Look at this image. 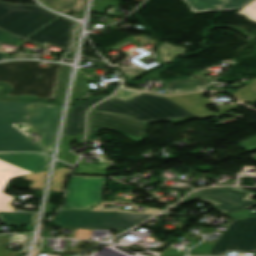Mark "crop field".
<instances>
[{"instance_id":"obj_1","label":"crop field","mask_w":256,"mask_h":256,"mask_svg":"<svg viewBox=\"0 0 256 256\" xmlns=\"http://www.w3.org/2000/svg\"><path fill=\"white\" fill-rule=\"evenodd\" d=\"M31 108L34 111L30 114ZM59 111L60 106L50 104L0 100V151H42L27 133L16 127V124H27L32 132L41 131L43 147L50 153Z\"/></svg>"},{"instance_id":"obj_2","label":"crop field","mask_w":256,"mask_h":256,"mask_svg":"<svg viewBox=\"0 0 256 256\" xmlns=\"http://www.w3.org/2000/svg\"><path fill=\"white\" fill-rule=\"evenodd\" d=\"M39 61L0 63V82L10 84L6 96L32 95L52 100L61 64L51 63L47 68L37 66ZM39 75H42L40 78Z\"/></svg>"},{"instance_id":"obj_3","label":"crop field","mask_w":256,"mask_h":256,"mask_svg":"<svg viewBox=\"0 0 256 256\" xmlns=\"http://www.w3.org/2000/svg\"><path fill=\"white\" fill-rule=\"evenodd\" d=\"M92 109L132 115L143 122L169 120L175 124L196 118L195 115L166 97L145 93L127 102L112 97Z\"/></svg>"},{"instance_id":"obj_4","label":"crop field","mask_w":256,"mask_h":256,"mask_svg":"<svg viewBox=\"0 0 256 256\" xmlns=\"http://www.w3.org/2000/svg\"><path fill=\"white\" fill-rule=\"evenodd\" d=\"M58 16L38 5L10 4L0 1V29L23 40Z\"/></svg>"},{"instance_id":"obj_5","label":"crop field","mask_w":256,"mask_h":256,"mask_svg":"<svg viewBox=\"0 0 256 256\" xmlns=\"http://www.w3.org/2000/svg\"><path fill=\"white\" fill-rule=\"evenodd\" d=\"M153 215L61 210L50 222L57 226L126 230Z\"/></svg>"},{"instance_id":"obj_6","label":"crop field","mask_w":256,"mask_h":256,"mask_svg":"<svg viewBox=\"0 0 256 256\" xmlns=\"http://www.w3.org/2000/svg\"><path fill=\"white\" fill-rule=\"evenodd\" d=\"M88 118L89 141H94L98 130L103 128L122 134L138 144L146 138V125L131 116L90 110Z\"/></svg>"},{"instance_id":"obj_7","label":"crop field","mask_w":256,"mask_h":256,"mask_svg":"<svg viewBox=\"0 0 256 256\" xmlns=\"http://www.w3.org/2000/svg\"><path fill=\"white\" fill-rule=\"evenodd\" d=\"M228 251L255 252L256 256V216L232 222L208 255L226 256Z\"/></svg>"},{"instance_id":"obj_8","label":"crop field","mask_w":256,"mask_h":256,"mask_svg":"<svg viewBox=\"0 0 256 256\" xmlns=\"http://www.w3.org/2000/svg\"><path fill=\"white\" fill-rule=\"evenodd\" d=\"M255 195V193L238 188H212L195 192L190 197L208 203L212 202L215 209L224 214H234L255 206L256 202L250 199Z\"/></svg>"},{"instance_id":"obj_9","label":"crop field","mask_w":256,"mask_h":256,"mask_svg":"<svg viewBox=\"0 0 256 256\" xmlns=\"http://www.w3.org/2000/svg\"><path fill=\"white\" fill-rule=\"evenodd\" d=\"M105 178L72 176L63 208L88 209L102 201Z\"/></svg>"},{"instance_id":"obj_10","label":"crop field","mask_w":256,"mask_h":256,"mask_svg":"<svg viewBox=\"0 0 256 256\" xmlns=\"http://www.w3.org/2000/svg\"><path fill=\"white\" fill-rule=\"evenodd\" d=\"M74 24L75 22L60 16L27 40L43 45L49 43L68 50Z\"/></svg>"},{"instance_id":"obj_11","label":"crop field","mask_w":256,"mask_h":256,"mask_svg":"<svg viewBox=\"0 0 256 256\" xmlns=\"http://www.w3.org/2000/svg\"><path fill=\"white\" fill-rule=\"evenodd\" d=\"M200 95L201 93L181 94L175 96H168V98L173 100L180 106L184 107L188 111L192 112L197 117H210L224 113L229 110H238V104L221 105L218 106L219 112L217 114H213L204 108L205 104H212L209 98H202L200 97Z\"/></svg>"},{"instance_id":"obj_12","label":"crop field","mask_w":256,"mask_h":256,"mask_svg":"<svg viewBox=\"0 0 256 256\" xmlns=\"http://www.w3.org/2000/svg\"><path fill=\"white\" fill-rule=\"evenodd\" d=\"M0 159L32 173L47 170L49 157L37 153H0Z\"/></svg>"},{"instance_id":"obj_13","label":"crop field","mask_w":256,"mask_h":256,"mask_svg":"<svg viewBox=\"0 0 256 256\" xmlns=\"http://www.w3.org/2000/svg\"><path fill=\"white\" fill-rule=\"evenodd\" d=\"M193 12L242 9L253 0H184Z\"/></svg>"},{"instance_id":"obj_14","label":"crop field","mask_w":256,"mask_h":256,"mask_svg":"<svg viewBox=\"0 0 256 256\" xmlns=\"http://www.w3.org/2000/svg\"><path fill=\"white\" fill-rule=\"evenodd\" d=\"M102 99L104 98L98 97L89 100L76 108L70 109L64 135L78 136L80 132L84 130V115L86 109Z\"/></svg>"},{"instance_id":"obj_15","label":"crop field","mask_w":256,"mask_h":256,"mask_svg":"<svg viewBox=\"0 0 256 256\" xmlns=\"http://www.w3.org/2000/svg\"><path fill=\"white\" fill-rule=\"evenodd\" d=\"M25 174L31 173L0 161V210L14 211L10 206L12 197L2 193V191L9 178Z\"/></svg>"},{"instance_id":"obj_16","label":"crop field","mask_w":256,"mask_h":256,"mask_svg":"<svg viewBox=\"0 0 256 256\" xmlns=\"http://www.w3.org/2000/svg\"><path fill=\"white\" fill-rule=\"evenodd\" d=\"M211 81L199 74H193L183 80L166 82V94L182 93L203 89Z\"/></svg>"},{"instance_id":"obj_17","label":"crop field","mask_w":256,"mask_h":256,"mask_svg":"<svg viewBox=\"0 0 256 256\" xmlns=\"http://www.w3.org/2000/svg\"><path fill=\"white\" fill-rule=\"evenodd\" d=\"M44 5L59 12L80 11L84 8L85 0H40Z\"/></svg>"},{"instance_id":"obj_18","label":"crop field","mask_w":256,"mask_h":256,"mask_svg":"<svg viewBox=\"0 0 256 256\" xmlns=\"http://www.w3.org/2000/svg\"><path fill=\"white\" fill-rule=\"evenodd\" d=\"M36 213H5L0 212L4 224L33 226Z\"/></svg>"},{"instance_id":"obj_19","label":"crop field","mask_w":256,"mask_h":256,"mask_svg":"<svg viewBox=\"0 0 256 256\" xmlns=\"http://www.w3.org/2000/svg\"><path fill=\"white\" fill-rule=\"evenodd\" d=\"M75 138H78V140H75ZM74 140L77 141L78 144H82V137L64 136L63 142H62V147H61V152H60V156H59L60 159L66 161L70 164L75 163V161L78 157L69 151L71 144H68V142H72Z\"/></svg>"},{"instance_id":"obj_20","label":"crop field","mask_w":256,"mask_h":256,"mask_svg":"<svg viewBox=\"0 0 256 256\" xmlns=\"http://www.w3.org/2000/svg\"><path fill=\"white\" fill-rule=\"evenodd\" d=\"M69 71H70V68L68 66L61 67L53 100L62 102Z\"/></svg>"},{"instance_id":"obj_21","label":"crop field","mask_w":256,"mask_h":256,"mask_svg":"<svg viewBox=\"0 0 256 256\" xmlns=\"http://www.w3.org/2000/svg\"><path fill=\"white\" fill-rule=\"evenodd\" d=\"M158 50L160 52V57H161L162 61L168 63V62L172 61V59L175 56L182 53L185 49L164 43V44L158 46Z\"/></svg>"},{"instance_id":"obj_22","label":"crop field","mask_w":256,"mask_h":256,"mask_svg":"<svg viewBox=\"0 0 256 256\" xmlns=\"http://www.w3.org/2000/svg\"><path fill=\"white\" fill-rule=\"evenodd\" d=\"M88 77L89 76L87 74L83 73L82 71H79L72 99L91 90L88 85V82H89Z\"/></svg>"},{"instance_id":"obj_23","label":"crop field","mask_w":256,"mask_h":256,"mask_svg":"<svg viewBox=\"0 0 256 256\" xmlns=\"http://www.w3.org/2000/svg\"><path fill=\"white\" fill-rule=\"evenodd\" d=\"M71 168L58 169L55 172L51 190L63 191L66 176L69 174Z\"/></svg>"},{"instance_id":"obj_24","label":"crop field","mask_w":256,"mask_h":256,"mask_svg":"<svg viewBox=\"0 0 256 256\" xmlns=\"http://www.w3.org/2000/svg\"><path fill=\"white\" fill-rule=\"evenodd\" d=\"M236 95L242 102H251L256 99V81L237 92Z\"/></svg>"},{"instance_id":"obj_25","label":"crop field","mask_w":256,"mask_h":256,"mask_svg":"<svg viewBox=\"0 0 256 256\" xmlns=\"http://www.w3.org/2000/svg\"><path fill=\"white\" fill-rule=\"evenodd\" d=\"M120 4L121 2L117 0H95L92 11L103 14L106 7L111 6L117 8Z\"/></svg>"},{"instance_id":"obj_26","label":"crop field","mask_w":256,"mask_h":256,"mask_svg":"<svg viewBox=\"0 0 256 256\" xmlns=\"http://www.w3.org/2000/svg\"><path fill=\"white\" fill-rule=\"evenodd\" d=\"M237 14L256 22V0L239 11Z\"/></svg>"},{"instance_id":"obj_27","label":"crop field","mask_w":256,"mask_h":256,"mask_svg":"<svg viewBox=\"0 0 256 256\" xmlns=\"http://www.w3.org/2000/svg\"><path fill=\"white\" fill-rule=\"evenodd\" d=\"M46 172L47 171L41 172V173H36V174H31V175H28V176H26L24 178L28 179V180H32L33 178H36L35 180H32L34 182L29 187L41 190L42 186H43V182H44L45 176H46Z\"/></svg>"},{"instance_id":"obj_28","label":"crop field","mask_w":256,"mask_h":256,"mask_svg":"<svg viewBox=\"0 0 256 256\" xmlns=\"http://www.w3.org/2000/svg\"><path fill=\"white\" fill-rule=\"evenodd\" d=\"M108 202H104L103 204L91 209V210H98V211H114V212H131V213H136L135 211H127V210H117V209H105L104 206L107 205ZM162 210L160 209H157L155 207H153L152 209L151 208H148L146 207L145 208V211L144 213H147V214H156L158 212H160Z\"/></svg>"},{"instance_id":"obj_29","label":"crop field","mask_w":256,"mask_h":256,"mask_svg":"<svg viewBox=\"0 0 256 256\" xmlns=\"http://www.w3.org/2000/svg\"><path fill=\"white\" fill-rule=\"evenodd\" d=\"M0 43H9V44L16 45L19 42H18V38H15L0 30ZM6 56H8V54L0 53V59H3Z\"/></svg>"},{"instance_id":"obj_30","label":"crop field","mask_w":256,"mask_h":256,"mask_svg":"<svg viewBox=\"0 0 256 256\" xmlns=\"http://www.w3.org/2000/svg\"><path fill=\"white\" fill-rule=\"evenodd\" d=\"M105 168L77 167L74 174L103 175Z\"/></svg>"},{"instance_id":"obj_31","label":"crop field","mask_w":256,"mask_h":256,"mask_svg":"<svg viewBox=\"0 0 256 256\" xmlns=\"http://www.w3.org/2000/svg\"><path fill=\"white\" fill-rule=\"evenodd\" d=\"M139 94L141 93L121 88L114 97L127 101Z\"/></svg>"},{"instance_id":"obj_32","label":"crop field","mask_w":256,"mask_h":256,"mask_svg":"<svg viewBox=\"0 0 256 256\" xmlns=\"http://www.w3.org/2000/svg\"><path fill=\"white\" fill-rule=\"evenodd\" d=\"M11 236H1L0 237V256H18V252H7L5 255L6 247L5 245L9 243Z\"/></svg>"},{"instance_id":"obj_33","label":"crop field","mask_w":256,"mask_h":256,"mask_svg":"<svg viewBox=\"0 0 256 256\" xmlns=\"http://www.w3.org/2000/svg\"><path fill=\"white\" fill-rule=\"evenodd\" d=\"M145 37H146V35H142V36H139V37L130 36V37L124 39L123 41L117 43V44L114 45V46H117V45H119V44H123L125 41H130V42H132V44H134V45H137V44L141 45L142 43H144L145 41H147V40L145 39ZM147 37H149V36H147ZM150 38H151V37H149V39H150ZM139 41H141V43H139ZM114 46H112V47H110V48L114 49V48H115ZM125 46H126V45H125ZM113 47H114V48H113ZM122 47H124V46H122ZM122 47H120V48H122ZM120 48H118V49H120ZM114 50H115V49H114Z\"/></svg>"},{"instance_id":"obj_34","label":"crop field","mask_w":256,"mask_h":256,"mask_svg":"<svg viewBox=\"0 0 256 256\" xmlns=\"http://www.w3.org/2000/svg\"><path fill=\"white\" fill-rule=\"evenodd\" d=\"M120 70L123 72V74L127 77L128 80L136 77L137 75L147 71V70H144V69H129V68H122V67H119Z\"/></svg>"},{"instance_id":"obj_35","label":"crop field","mask_w":256,"mask_h":256,"mask_svg":"<svg viewBox=\"0 0 256 256\" xmlns=\"http://www.w3.org/2000/svg\"><path fill=\"white\" fill-rule=\"evenodd\" d=\"M239 145L244 148L247 152L256 149V138L247 140L245 142L239 143Z\"/></svg>"},{"instance_id":"obj_36","label":"crop field","mask_w":256,"mask_h":256,"mask_svg":"<svg viewBox=\"0 0 256 256\" xmlns=\"http://www.w3.org/2000/svg\"><path fill=\"white\" fill-rule=\"evenodd\" d=\"M231 216L236 219H241V218H247V217L253 216V214L250 213L249 211L245 210L243 212H240V213H237V214H234Z\"/></svg>"},{"instance_id":"obj_37","label":"crop field","mask_w":256,"mask_h":256,"mask_svg":"<svg viewBox=\"0 0 256 256\" xmlns=\"http://www.w3.org/2000/svg\"><path fill=\"white\" fill-rule=\"evenodd\" d=\"M26 236L25 235H14L13 236V238H12V242H22L23 243V245H24V248H23V251L22 252H24V250H25V247H26V245H25V241H26Z\"/></svg>"},{"instance_id":"obj_38","label":"crop field","mask_w":256,"mask_h":256,"mask_svg":"<svg viewBox=\"0 0 256 256\" xmlns=\"http://www.w3.org/2000/svg\"><path fill=\"white\" fill-rule=\"evenodd\" d=\"M35 56L28 55V54H18L13 56L12 58H34Z\"/></svg>"},{"instance_id":"obj_39","label":"crop field","mask_w":256,"mask_h":256,"mask_svg":"<svg viewBox=\"0 0 256 256\" xmlns=\"http://www.w3.org/2000/svg\"><path fill=\"white\" fill-rule=\"evenodd\" d=\"M102 165H104V167H107V166H108V164H107V163L94 164V165H80V166L103 167Z\"/></svg>"},{"instance_id":"obj_40","label":"crop field","mask_w":256,"mask_h":256,"mask_svg":"<svg viewBox=\"0 0 256 256\" xmlns=\"http://www.w3.org/2000/svg\"><path fill=\"white\" fill-rule=\"evenodd\" d=\"M200 233V232H199ZM201 233H213V229L212 228H205L201 231Z\"/></svg>"},{"instance_id":"obj_41","label":"crop field","mask_w":256,"mask_h":256,"mask_svg":"<svg viewBox=\"0 0 256 256\" xmlns=\"http://www.w3.org/2000/svg\"><path fill=\"white\" fill-rule=\"evenodd\" d=\"M95 65H107L106 62L94 63Z\"/></svg>"}]
</instances>
